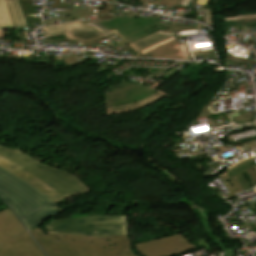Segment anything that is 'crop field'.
<instances>
[{
  "label": "crop field",
  "instance_id": "5",
  "mask_svg": "<svg viewBox=\"0 0 256 256\" xmlns=\"http://www.w3.org/2000/svg\"><path fill=\"white\" fill-rule=\"evenodd\" d=\"M0 256H45L10 208L0 211Z\"/></svg>",
  "mask_w": 256,
  "mask_h": 256
},
{
  "label": "crop field",
  "instance_id": "12",
  "mask_svg": "<svg viewBox=\"0 0 256 256\" xmlns=\"http://www.w3.org/2000/svg\"><path fill=\"white\" fill-rule=\"evenodd\" d=\"M174 34L175 33H165V32L158 31L150 36H147V37L131 44V46H133L139 52V51H141L155 43H158Z\"/></svg>",
  "mask_w": 256,
  "mask_h": 256
},
{
  "label": "crop field",
  "instance_id": "14",
  "mask_svg": "<svg viewBox=\"0 0 256 256\" xmlns=\"http://www.w3.org/2000/svg\"><path fill=\"white\" fill-rule=\"evenodd\" d=\"M11 23L4 0H0V36H3L2 28H10Z\"/></svg>",
  "mask_w": 256,
  "mask_h": 256
},
{
  "label": "crop field",
  "instance_id": "8",
  "mask_svg": "<svg viewBox=\"0 0 256 256\" xmlns=\"http://www.w3.org/2000/svg\"><path fill=\"white\" fill-rule=\"evenodd\" d=\"M67 33H70L72 38L78 37L79 41H86L105 36L93 26L80 21L44 28L45 38L55 37Z\"/></svg>",
  "mask_w": 256,
  "mask_h": 256
},
{
  "label": "crop field",
  "instance_id": "6",
  "mask_svg": "<svg viewBox=\"0 0 256 256\" xmlns=\"http://www.w3.org/2000/svg\"><path fill=\"white\" fill-rule=\"evenodd\" d=\"M134 19L132 14L97 21L107 31L116 29L130 44L158 30L166 31L170 25L158 23L159 15Z\"/></svg>",
  "mask_w": 256,
  "mask_h": 256
},
{
  "label": "crop field",
  "instance_id": "23",
  "mask_svg": "<svg viewBox=\"0 0 256 256\" xmlns=\"http://www.w3.org/2000/svg\"><path fill=\"white\" fill-rule=\"evenodd\" d=\"M155 2H156V0H153V1H152V4H155Z\"/></svg>",
  "mask_w": 256,
  "mask_h": 256
},
{
  "label": "crop field",
  "instance_id": "11",
  "mask_svg": "<svg viewBox=\"0 0 256 256\" xmlns=\"http://www.w3.org/2000/svg\"><path fill=\"white\" fill-rule=\"evenodd\" d=\"M198 213L200 215L201 224L204 227L206 233L212 238L214 243L218 244L222 248V250L226 252L224 256H237L236 249L227 248L225 242L220 239L216 233L211 231L212 227L208 224L207 219L203 217V214L199 210Z\"/></svg>",
  "mask_w": 256,
  "mask_h": 256
},
{
  "label": "crop field",
  "instance_id": "10",
  "mask_svg": "<svg viewBox=\"0 0 256 256\" xmlns=\"http://www.w3.org/2000/svg\"><path fill=\"white\" fill-rule=\"evenodd\" d=\"M165 96H167V95L158 91V92H156V94H154L142 101L135 102L133 104H129V105L121 106V107H114V108L106 109V112H107V115H110V114H116V113L127 112V111H131V110H135V109H140L148 104L158 101L159 99H161Z\"/></svg>",
  "mask_w": 256,
  "mask_h": 256
},
{
  "label": "crop field",
  "instance_id": "18",
  "mask_svg": "<svg viewBox=\"0 0 256 256\" xmlns=\"http://www.w3.org/2000/svg\"><path fill=\"white\" fill-rule=\"evenodd\" d=\"M181 0H157L156 4L177 7Z\"/></svg>",
  "mask_w": 256,
  "mask_h": 256
},
{
  "label": "crop field",
  "instance_id": "19",
  "mask_svg": "<svg viewBox=\"0 0 256 256\" xmlns=\"http://www.w3.org/2000/svg\"><path fill=\"white\" fill-rule=\"evenodd\" d=\"M5 2H6V6H7V9H8V12H9V16H10V19H11V22H12V26L13 27H18L17 23H16V20H15V17H14V13H13L10 1L7 0Z\"/></svg>",
  "mask_w": 256,
  "mask_h": 256
},
{
  "label": "crop field",
  "instance_id": "4",
  "mask_svg": "<svg viewBox=\"0 0 256 256\" xmlns=\"http://www.w3.org/2000/svg\"><path fill=\"white\" fill-rule=\"evenodd\" d=\"M48 230L49 233L99 237L127 235L126 217L122 216H91L52 221Z\"/></svg>",
  "mask_w": 256,
  "mask_h": 256
},
{
  "label": "crop field",
  "instance_id": "9",
  "mask_svg": "<svg viewBox=\"0 0 256 256\" xmlns=\"http://www.w3.org/2000/svg\"><path fill=\"white\" fill-rule=\"evenodd\" d=\"M254 165L256 164L252 162V157L247 158L231 167L226 173L230 178L235 176L243 190L252 189L242 172Z\"/></svg>",
  "mask_w": 256,
  "mask_h": 256
},
{
  "label": "crop field",
  "instance_id": "16",
  "mask_svg": "<svg viewBox=\"0 0 256 256\" xmlns=\"http://www.w3.org/2000/svg\"><path fill=\"white\" fill-rule=\"evenodd\" d=\"M19 27H26L17 0H10Z\"/></svg>",
  "mask_w": 256,
  "mask_h": 256
},
{
  "label": "crop field",
  "instance_id": "22",
  "mask_svg": "<svg viewBox=\"0 0 256 256\" xmlns=\"http://www.w3.org/2000/svg\"><path fill=\"white\" fill-rule=\"evenodd\" d=\"M203 214H204V216H206V217H207V214H208V213H206V212H203ZM208 220L210 221V219H208Z\"/></svg>",
  "mask_w": 256,
  "mask_h": 256
},
{
  "label": "crop field",
  "instance_id": "2",
  "mask_svg": "<svg viewBox=\"0 0 256 256\" xmlns=\"http://www.w3.org/2000/svg\"><path fill=\"white\" fill-rule=\"evenodd\" d=\"M47 256H136L128 236L89 237L29 231Z\"/></svg>",
  "mask_w": 256,
  "mask_h": 256
},
{
  "label": "crop field",
  "instance_id": "3",
  "mask_svg": "<svg viewBox=\"0 0 256 256\" xmlns=\"http://www.w3.org/2000/svg\"><path fill=\"white\" fill-rule=\"evenodd\" d=\"M0 198L12 207L28 229L63 211L49 197L2 167Z\"/></svg>",
  "mask_w": 256,
  "mask_h": 256
},
{
  "label": "crop field",
  "instance_id": "20",
  "mask_svg": "<svg viewBox=\"0 0 256 256\" xmlns=\"http://www.w3.org/2000/svg\"><path fill=\"white\" fill-rule=\"evenodd\" d=\"M59 0H54L52 9L58 8Z\"/></svg>",
  "mask_w": 256,
  "mask_h": 256
},
{
  "label": "crop field",
  "instance_id": "7",
  "mask_svg": "<svg viewBox=\"0 0 256 256\" xmlns=\"http://www.w3.org/2000/svg\"><path fill=\"white\" fill-rule=\"evenodd\" d=\"M143 256H171L195 249L181 234L135 245Z\"/></svg>",
  "mask_w": 256,
  "mask_h": 256
},
{
  "label": "crop field",
  "instance_id": "1",
  "mask_svg": "<svg viewBox=\"0 0 256 256\" xmlns=\"http://www.w3.org/2000/svg\"><path fill=\"white\" fill-rule=\"evenodd\" d=\"M0 166L40 190L56 203L76 194L90 192L72 175L39 164L16 148L0 146Z\"/></svg>",
  "mask_w": 256,
  "mask_h": 256
},
{
  "label": "crop field",
  "instance_id": "15",
  "mask_svg": "<svg viewBox=\"0 0 256 256\" xmlns=\"http://www.w3.org/2000/svg\"><path fill=\"white\" fill-rule=\"evenodd\" d=\"M89 24H91V25L95 26L96 28H98L100 31H102V32H103L104 34H106L107 36L101 37V38H98V39H94V40H90V41H86V42H81L82 45L92 44V43H95V42H97V41H101V40L110 38V37H112V36L118 35V33H117L116 31L107 32L101 25H99V24L96 23V22H89Z\"/></svg>",
  "mask_w": 256,
  "mask_h": 256
},
{
  "label": "crop field",
  "instance_id": "21",
  "mask_svg": "<svg viewBox=\"0 0 256 256\" xmlns=\"http://www.w3.org/2000/svg\"><path fill=\"white\" fill-rule=\"evenodd\" d=\"M139 2H145V3H147L148 0H139Z\"/></svg>",
  "mask_w": 256,
  "mask_h": 256
},
{
  "label": "crop field",
  "instance_id": "17",
  "mask_svg": "<svg viewBox=\"0 0 256 256\" xmlns=\"http://www.w3.org/2000/svg\"><path fill=\"white\" fill-rule=\"evenodd\" d=\"M175 39H177V37H176V35L175 36H173V37H171V38H169V39H166V40H164V41H162V42H160V43H158V44H155V45H153V46H151V47H149V48H147V49H145V50H143L142 52H140L139 54H145V53H147V52H149V51H151V50H153V49H155V48H158V47H160V46H162V45H164V44H167V43H169V42H171V41H173V40H175Z\"/></svg>",
  "mask_w": 256,
  "mask_h": 256
},
{
  "label": "crop field",
  "instance_id": "13",
  "mask_svg": "<svg viewBox=\"0 0 256 256\" xmlns=\"http://www.w3.org/2000/svg\"><path fill=\"white\" fill-rule=\"evenodd\" d=\"M19 5L26 23L27 27H31L30 22H36V21H41L40 17H35V18H29L27 15L31 14H37L40 12H35L34 7H33V2L32 0H18Z\"/></svg>",
  "mask_w": 256,
  "mask_h": 256
}]
</instances>
